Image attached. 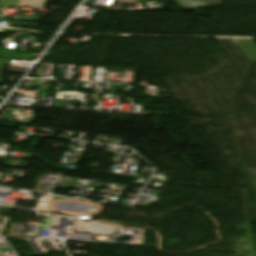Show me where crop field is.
<instances>
[{
  "label": "crop field",
  "mask_w": 256,
  "mask_h": 256,
  "mask_svg": "<svg viewBox=\"0 0 256 256\" xmlns=\"http://www.w3.org/2000/svg\"><path fill=\"white\" fill-rule=\"evenodd\" d=\"M172 1L176 5H178L182 10L194 9V7L187 5L185 1H205L206 7L222 5L221 0H172Z\"/></svg>",
  "instance_id": "412701ff"
},
{
  "label": "crop field",
  "mask_w": 256,
  "mask_h": 256,
  "mask_svg": "<svg viewBox=\"0 0 256 256\" xmlns=\"http://www.w3.org/2000/svg\"><path fill=\"white\" fill-rule=\"evenodd\" d=\"M248 61L256 60V45L252 40L234 39Z\"/></svg>",
  "instance_id": "8a807250"
},
{
  "label": "crop field",
  "mask_w": 256,
  "mask_h": 256,
  "mask_svg": "<svg viewBox=\"0 0 256 256\" xmlns=\"http://www.w3.org/2000/svg\"><path fill=\"white\" fill-rule=\"evenodd\" d=\"M46 0H0L1 7H11L19 5L44 6Z\"/></svg>",
  "instance_id": "ac0d7876"
},
{
  "label": "crop field",
  "mask_w": 256,
  "mask_h": 256,
  "mask_svg": "<svg viewBox=\"0 0 256 256\" xmlns=\"http://www.w3.org/2000/svg\"><path fill=\"white\" fill-rule=\"evenodd\" d=\"M7 63L8 61L6 60H0V82H2V71Z\"/></svg>",
  "instance_id": "f4fd0767"
},
{
  "label": "crop field",
  "mask_w": 256,
  "mask_h": 256,
  "mask_svg": "<svg viewBox=\"0 0 256 256\" xmlns=\"http://www.w3.org/2000/svg\"><path fill=\"white\" fill-rule=\"evenodd\" d=\"M187 4L192 5L196 8L198 7H205L204 2H187Z\"/></svg>",
  "instance_id": "dd49c442"
},
{
  "label": "crop field",
  "mask_w": 256,
  "mask_h": 256,
  "mask_svg": "<svg viewBox=\"0 0 256 256\" xmlns=\"http://www.w3.org/2000/svg\"><path fill=\"white\" fill-rule=\"evenodd\" d=\"M16 19L37 20V19H27V18H16Z\"/></svg>",
  "instance_id": "e52e79f7"
},
{
  "label": "crop field",
  "mask_w": 256,
  "mask_h": 256,
  "mask_svg": "<svg viewBox=\"0 0 256 256\" xmlns=\"http://www.w3.org/2000/svg\"><path fill=\"white\" fill-rule=\"evenodd\" d=\"M36 56L37 55H34V54L0 50V57H3V58H11V59H20V60L33 61Z\"/></svg>",
  "instance_id": "34b2d1b8"
}]
</instances>
